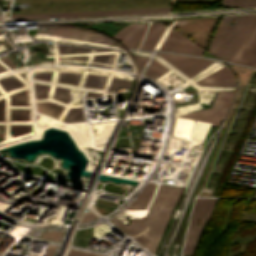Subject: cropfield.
<instances>
[{"mask_svg": "<svg viewBox=\"0 0 256 256\" xmlns=\"http://www.w3.org/2000/svg\"><path fill=\"white\" fill-rule=\"evenodd\" d=\"M68 256H101V255H96V254H91V253H86V252H81L76 250H70Z\"/></svg>", "mask_w": 256, "mask_h": 256, "instance_id": "crop-field-26", "label": "crop field"}, {"mask_svg": "<svg viewBox=\"0 0 256 256\" xmlns=\"http://www.w3.org/2000/svg\"><path fill=\"white\" fill-rule=\"evenodd\" d=\"M11 120H30L28 108L10 109Z\"/></svg>", "mask_w": 256, "mask_h": 256, "instance_id": "crop-field-16", "label": "crop field"}, {"mask_svg": "<svg viewBox=\"0 0 256 256\" xmlns=\"http://www.w3.org/2000/svg\"><path fill=\"white\" fill-rule=\"evenodd\" d=\"M106 79V77L88 75L84 86L102 89Z\"/></svg>", "mask_w": 256, "mask_h": 256, "instance_id": "crop-field-15", "label": "crop field"}, {"mask_svg": "<svg viewBox=\"0 0 256 256\" xmlns=\"http://www.w3.org/2000/svg\"><path fill=\"white\" fill-rule=\"evenodd\" d=\"M165 26L164 25H160V24H152L142 43L140 46V49H150L152 50L156 41L158 40L159 36L161 35L162 31L164 30Z\"/></svg>", "mask_w": 256, "mask_h": 256, "instance_id": "crop-field-12", "label": "crop field"}, {"mask_svg": "<svg viewBox=\"0 0 256 256\" xmlns=\"http://www.w3.org/2000/svg\"><path fill=\"white\" fill-rule=\"evenodd\" d=\"M132 84L133 83L126 82V81H123V80L113 79L108 89L115 90V91H117L118 87L130 89Z\"/></svg>", "mask_w": 256, "mask_h": 256, "instance_id": "crop-field-20", "label": "crop field"}, {"mask_svg": "<svg viewBox=\"0 0 256 256\" xmlns=\"http://www.w3.org/2000/svg\"><path fill=\"white\" fill-rule=\"evenodd\" d=\"M169 9H170V7H162V8L97 11V12L94 11V12H78V13L12 16V18H14V19H40V18H47V17H74V16L109 15V14H127V13H136V12L169 11Z\"/></svg>", "mask_w": 256, "mask_h": 256, "instance_id": "crop-field-6", "label": "crop field"}, {"mask_svg": "<svg viewBox=\"0 0 256 256\" xmlns=\"http://www.w3.org/2000/svg\"><path fill=\"white\" fill-rule=\"evenodd\" d=\"M155 186L156 185L153 183H148V185L144 188L141 194L127 209H144Z\"/></svg>", "mask_w": 256, "mask_h": 256, "instance_id": "crop-field-13", "label": "crop field"}, {"mask_svg": "<svg viewBox=\"0 0 256 256\" xmlns=\"http://www.w3.org/2000/svg\"><path fill=\"white\" fill-rule=\"evenodd\" d=\"M2 81H3L6 91L10 90L12 88L18 87L20 85H23L22 83H20L19 81H17L16 79H14L12 77L3 79Z\"/></svg>", "mask_w": 256, "mask_h": 256, "instance_id": "crop-field-23", "label": "crop field"}, {"mask_svg": "<svg viewBox=\"0 0 256 256\" xmlns=\"http://www.w3.org/2000/svg\"><path fill=\"white\" fill-rule=\"evenodd\" d=\"M255 16H224L208 50L235 63Z\"/></svg>", "mask_w": 256, "mask_h": 256, "instance_id": "crop-field-2", "label": "crop field"}, {"mask_svg": "<svg viewBox=\"0 0 256 256\" xmlns=\"http://www.w3.org/2000/svg\"><path fill=\"white\" fill-rule=\"evenodd\" d=\"M201 85L235 86V78L226 66L196 81Z\"/></svg>", "mask_w": 256, "mask_h": 256, "instance_id": "crop-field-9", "label": "crop field"}, {"mask_svg": "<svg viewBox=\"0 0 256 256\" xmlns=\"http://www.w3.org/2000/svg\"><path fill=\"white\" fill-rule=\"evenodd\" d=\"M35 87H36L37 98H42V99L48 98V94L51 86L35 83Z\"/></svg>", "mask_w": 256, "mask_h": 256, "instance_id": "crop-field-19", "label": "crop field"}, {"mask_svg": "<svg viewBox=\"0 0 256 256\" xmlns=\"http://www.w3.org/2000/svg\"><path fill=\"white\" fill-rule=\"evenodd\" d=\"M160 50L176 51L200 56L203 54V49L174 29H172Z\"/></svg>", "mask_w": 256, "mask_h": 256, "instance_id": "crop-field-4", "label": "crop field"}, {"mask_svg": "<svg viewBox=\"0 0 256 256\" xmlns=\"http://www.w3.org/2000/svg\"><path fill=\"white\" fill-rule=\"evenodd\" d=\"M236 63L256 66V18Z\"/></svg>", "mask_w": 256, "mask_h": 256, "instance_id": "crop-field-8", "label": "crop field"}, {"mask_svg": "<svg viewBox=\"0 0 256 256\" xmlns=\"http://www.w3.org/2000/svg\"><path fill=\"white\" fill-rule=\"evenodd\" d=\"M46 32L113 44L112 42L102 38L101 36L94 34V33H90L88 31L54 28V29H46Z\"/></svg>", "mask_w": 256, "mask_h": 256, "instance_id": "crop-field-10", "label": "crop field"}, {"mask_svg": "<svg viewBox=\"0 0 256 256\" xmlns=\"http://www.w3.org/2000/svg\"><path fill=\"white\" fill-rule=\"evenodd\" d=\"M159 56L166 59L180 71H182L187 76H192L194 73L202 69L204 66L209 64L210 60L174 55V54H164L158 53Z\"/></svg>", "mask_w": 256, "mask_h": 256, "instance_id": "crop-field-5", "label": "crop field"}, {"mask_svg": "<svg viewBox=\"0 0 256 256\" xmlns=\"http://www.w3.org/2000/svg\"><path fill=\"white\" fill-rule=\"evenodd\" d=\"M0 120H5L4 110L0 108Z\"/></svg>", "mask_w": 256, "mask_h": 256, "instance_id": "crop-field-28", "label": "crop field"}, {"mask_svg": "<svg viewBox=\"0 0 256 256\" xmlns=\"http://www.w3.org/2000/svg\"><path fill=\"white\" fill-rule=\"evenodd\" d=\"M31 131L30 125L15 126V136Z\"/></svg>", "mask_w": 256, "mask_h": 256, "instance_id": "crop-field-24", "label": "crop field"}, {"mask_svg": "<svg viewBox=\"0 0 256 256\" xmlns=\"http://www.w3.org/2000/svg\"><path fill=\"white\" fill-rule=\"evenodd\" d=\"M55 99L70 100V89L56 87Z\"/></svg>", "mask_w": 256, "mask_h": 256, "instance_id": "crop-field-22", "label": "crop field"}, {"mask_svg": "<svg viewBox=\"0 0 256 256\" xmlns=\"http://www.w3.org/2000/svg\"><path fill=\"white\" fill-rule=\"evenodd\" d=\"M0 19H1V15H0Z\"/></svg>", "mask_w": 256, "mask_h": 256, "instance_id": "crop-field-29", "label": "crop field"}, {"mask_svg": "<svg viewBox=\"0 0 256 256\" xmlns=\"http://www.w3.org/2000/svg\"><path fill=\"white\" fill-rule=\"evenodd\" d=\"M180 189L160 185L147 219H132L128 226L115 218L112 220L155 252Z\"/></svg>", "mask_w": 256, "mask_h": 256, "instance_id": "crop-field-1", "label": "crop field"}, {"mask_svg": "<svg viewBox=\"0 0 256 256\" xmlns=\"http://www.w3.org/2000/svg\"><path fill=\"white\" fill-rule=\"evenodd\" d=\"M112 55H94L93 60L110 63Z\"/></svg>", "mask_w": 256, "mask_h": 256, "instance_id": "crop-field-25", "label": "crop field"}, {"mask_svg": "<svg viewBox=\"0 0 256 256\" xmlns=\"http://www.w3.org/2000/svg\"><path fill=\"white\" fill-rule=\"evenodd\" d=\"M234 93L235 92H227L226 93L216 117L211 116L212 118H204V119H196V120H188V121L202 123V124L216 127L220 118H222V119L224 118Z\"/></svg>", "mask_w": 256, "mask_h": 256, "instance_id": "crop-field-11", "label": "crop field"}, {"mask_svg": "<svg viewBox=\"0 0 256 256\" xmlns=\"http://www.w3.org/2000/svg\"><path fill=\"white\" fill-rule=\"evenodd\" d=\"M59 49H60V53L86 52L90 50V48H86V47H71V46H64V45H59Z\"/></svg>", "mask_w": 256, "mask_h": 256, "instance_id": "crop-field-21", "label": "crop field"}, {"mask_svg": "<svg viewBox=\"0 0 256 256\" xmlns=\"http://www.w3.org/2000/svg\"><path fill=\"white\" fill-rule=\"evenodd\" d=\"M221 2L225 4V6L256 7V0H223Z\"/></svg>", "mask_w": 256, "mask_h": 256, "instance_id": "crop-field-17", "label": "crop field"}, {"mask_svg": "<svg viewBox=\"0 0 256 256\" xmlns=\"http://www.w3.org/2000/svg\"><path fill=\"white\" fill-rule=\"evenodd\" d=\"M147 24H129L119 30L113 37L122 42L127 48H137Z\"/></svg>", "mask_w": 256, "mask_h": 256, "instance_id": "crop-field-7", "label": "crop field"}, {"mask_svg": "<svg viewBox=\"0 0 256 256\" xmlns=\"http://www.w3.org/2000/svg\"><path fill=\"white\" fill-rule=\"evenodd\" d=\"M10 104H28L26 88L9 95Z\"/></svg>", "mask_w": 256, "mask_h": 256, "instance_id": "crop-field-14", "label": "crop field"}, {"mask_svg": "<svg viewBox=\"0 0 256 256\" xmlns=\"http://www.w3.org/2000/svg\"><path fill=\"white\" fill-rule=\"evenodd\" d=\"M51 76L52 73H46V74H34L33 77L34 78H39V79H43V80H51Z\"/></svg>", "mask_w": 256, "mask_h": 256, "instance_id": "crop-field-27", "label": "crop field"}, {"mask_svg": "<svg viewBox=\"0 0 256 256\" xmlns=\"http://www.w3.org/2000/svg\"><path fill=\"white\" fill-rule=\"evenodd\" d=\"M79 74L58 73L57 81L77 85Z\"/></svg>", "mask_w": 256, "mask_h": 256, "instance_id": "crop-field-18", "label": "crop field"}, {"mask_svg": "<svg viewBox=\"0 0 256 256\" xmlns=\"http://www.w3.org/2000/svg\"><path fill=\"white\" fill-rule=\"evenodd\" d=\"M216 199L197 198L192 214V219L184 247V254H192L197 239L213 209ZM201 219L200 225L197 226L198 219Z\"/></svg>", "mask_w": 256, "mask_h": 256, "instance_id": "crop-field-3", "label": "crop field"}]
</instances>
